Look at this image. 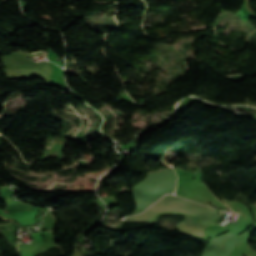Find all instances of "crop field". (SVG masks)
Instances as JSON below:
<instances>
[{"label": "crop field", "mask_w": 256, "mask_h": 256, "mask_svg": "<svg viewBox=\"0 0 256 256\" xmlns=\"http://www.w3.org/2000/svg\"><path fill=\"white\" fill-rule=\"evenodd\" d=\"M245 3L249 5V0H246ZM248 5H246V6L248 7V9L252 13V15H254L256 17V14L254 13V11Z\"/></svg>", "instance_id": "8a807250"}]
</instances>
